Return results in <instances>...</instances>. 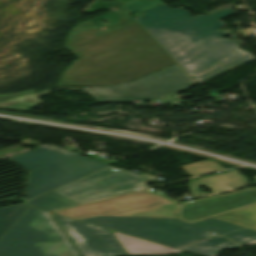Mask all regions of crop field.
Masks as SVG:
<instances>
[{
	"label": "crop field",
	"instance_id": "obj_1",
	"mask_svg": "<svg viewBox=\"0 0 256 256\" xmlns=\"http://www.w3.org/2000/svg\"><path fill=\"white\" fill-rule=\"evenodd\" d=\"M116 15V25L98 28L84 22L71 30L65 47L78 60L57 86L123 83L176 63L127 11Z\"/></svg>",
	"mask_w": 256,
	"mask_h": 256
},
{
	"label": "crop field",
	"instance_id": "obj_2",
	"mask_svg": "<svg viewBox=\"0 0 256 256\" xmlns=\"http://www.w3.org/2000/svg\"><path fill=\"white\" fill-rule=\"evenodd\" d=\"M143 12L136 21L200 83L254 60L251 54L237 49L243 42L223 39L227 32H215L224 25L218 20L236 13L230 7L195 18L183 8L170 9L166 4Z\"/></svg>",
	"mask_w": 256,
	"mask_h": 256
},
{
	"label": "crop field",
	"instance_id": "obj_3",
	"mask_svg": "<svg viewBox=\"0 0 256 256\" xmlns=\"http://www.w3.org/2000/svg\"><path fill=\"white\" fill-rule=\"evenodd\" d=\"M154 189L54 211L76 219L97 215L179 218L190 224L256 204V188L235 193L177 202Z\"/></svg>",
	"mask_w": 256,
	"mask_h": 256
},
{
	"label": "crop field",
	"instance_id": "obj_4",
	"mask_svg": "<svg viewBox=\"0 0 256 256\" xmlns=\"http://www.w3.org/2000/svg\"><path fill=\"white\" fill-rule=\"evenodd\" d=\"M10 159L30 170L24 201L108 166L57 146L46 145H39L35 151Z\"/></svg>",
	"mask_w": 256,
	"mask_h": 256
},
{
	"label": "crop field",
	"instance_id": "obj_5",
	"mask_svg": "<svg viewBox=\"0 0 256 256\" xmlns=\"http://www.w3.org/2000/svg\"><path fill=\"white\" fill-rule=\"evenodd\" d=\"M80 220L173 247L210 238L207 234L212 231L223 234L245 229L216 218L192 225L179 219L115 216H97Z\"/></svg>",
	"mask_w": 256,
	"mask_h": 256
},
{
	"label": "crop field",
	"instance_id": "obj_6",
	"mask_svg": "<svg viewBox=\"0 0 256 256\" xmlns=\"http://www.w3.org/2000/svg\"><path fill=\"white\" fill-rule=\"evenodd\" d=\"M63 234L48 213L30 207L0 239V256H79Z\"/></svg>",
	"mask_w": 256,
	"mask_h": 256
},
{
	"label": "crop field",
	"instance_id": "obj_7",
	"mask_svg": "<svg viewBox=\"0 0 256 256\" xmlns=\"http://www.w3.org/2000/svg\"><path fill=\"white\" fill-rule=\"evenodd\" d=\"M196 85L176 65L136 80L129 84L102 88H83L95 102H115L133 100L175 101L170 96Z\"/></svg>",
	"mask_w": 256,
	"mask_h": 256
},
{
	"label": "crop field",
	"instance_id": "obj_8",
	"mask_svg": "<svg viewBox=\"0 0 256 256\" xmlns=\"http://www.w3.org/2000/svg\"><path fill=\"white\" fill-rule=\"evenodd\" d=\"M150 177L107 167L57 190L59 194L79 203L96 201L143 189L141 182Z\"/></svg>",
	"mask_w": 256,
	"mask_h": 256
},
{
	"label": "crop field",
	"instance_id": "obj_9",
	"mask_svg": "<svg viewBox=\"0 0 256 256\" xmlns=\"http://www.w3.org/2000/svg\"><path fill=\"white\" fill-rule=\"evenodd\" d=\"M82 256H114L126 254L108 229L89 225L53 214Z\"/></svg>",
	"mask_w": 256,
	"mask_h": 256
},
{
	"label": "crop field",
	"instance_id": "obj_10",
	"mask_svg": "<svg viewBox=\"0 0 256 256\" xmlns=\"http://www.w3.org/2000/svg\"><path fill=\"white\" fill-rule=\"evenodd\" d=\"M249 184V180L246 176L239 175L237 170H232L226 174L192 180L189 186L191 190V196L194 198L207 195L205 192L196 190V187L199 186H207L212 190V194H217L233 191Z\"/></svg>",
	"mask_w": 256,
	"mask_h": 256
},
{
	"label": "crop field",
	"instance_id": "obj_11",
	"mask_svg": "<svg viewBox=\"0 0 256 256\" xmlns=\"http://www.w3.org/2000/svg\"><path fill=\"white\" fill-rule=\"evenodd\" d=\"M120 242L128 255H168L184 252L182 250L167 247L115 231H111Z\"/></svg>",
	"mask_w": 256,
	"mask_h": 256
},
{
	"label": "crop field",
	"instance_id": "obj_12",
	"mask_svg": "<svg viewBox=\"0 0 256 256\" xmlns=\"http://www.w3.org/2000/svg\"><path fill=\"white\" fill-rule=\"evenodd\" d=\"M235 247H240V245L219 236L178 248L203 256H218L222 250Z\"/></svg>",
	"mask_w": 256,
	"mask_h": 256
},
{
	"label": "crop field",
	"instance_id": "obj_13",
	"mask_svg": "<svg viewBox=\"0 0 256 256\" xmlns=\"http://www.w3.org/2000/svg\"><path fill=\"white\" fill-rule=\"evenodd\" d=\"M27 204L47 210V211L57 209V208L77 205V203L59 195L54 191L48 194H45L41 197H38L34 200H31L27 202Z\"/></svg>",
	"mask_w": 256,
	"mask_h": 256
},
{
	"label": "crop field",
	"instance_id": "obj_14",
	"mask_svg": "<svg viewBox=\"0 0 256 256\" xmlns=\"http://www.w3.org/2000/svg\"><path fill=\"white\" fill-rule=\"evenodd\" d=\"M216 218L256 230V205L218 216Z\"/></svg>",
	"mask_w": 256,
	"mask_h": 256
},
{
	"label": "crop field",
	"instance_id": "obj_15",
	"mask_svg": "<svg viewBox=\"0 0 256 256\" xmlns=\"http://www.w3.org/2000/svg\"><path fill=\"white\" fill-rule=\"evenodd\" d=\"M28 208L21 204L0 209V238L16 223Z\"/></svg>",
	"mask_w": 256,
	"mask_h": 256
},
{
	"label": "crop field",
	"instance_id": "obj_16",
	"mask_svg": "<svg viewBox=\"0 0 256 256\" xmlns=\"http://www.w3.org/2000/svg\"><path fill=\"white\" fill-rule=\"evenodd\" d=\"M51 89L46 90L44 92L38 93V94H31V95H25L13 100H9L6 102L0 103V109H12V110H23V111H29L33 112L31 110L25 109L28 106L40 104L41 102L36 96L43 95L50 93Z\"/></svg>",
	"mask_w": 256,
	"mask_h": 256
},
{
	"label": "crop field",
	"instance_id": "obj_17",
	"mask_svg": "<svg viewBox=\"0 0 256 256\" xmlns=\"http://www.w3.org/2000/svg\"><path fill=\"white\" fill-rule=\"evenodd\" d=\"M181 167L188 174H191V175H203V174L224 169L214 161H202V162H197L193 164L183 165Z\"/></svg>",
	"mask_w": 256,
	"mask_h": 256
},
{
	"label": "crop field",
	"instance_id": "obj_18",
	"mask_svg": "<svg viewBox=\"0 0 256 256\" xmlns=\"http://www.w3.org/2000/svg\"><path fill=\"white\" fill-rule=\"evenodd\" d=\"M224 236L243 246L256 244V232L250 229L229 233Z\"/></svg>",
	"mask_w": 256,
	"mask_h": 256
},
{
	"label": "crop field",
	"instance_id": "obj_19",
	"mask_svg": "<svg viewBox=\"0 0 256 256\" xmlns=\"http://www.w3.org/2000/svg\"><path fill=\"white\" fill-rule=\"evenodd\" d=\"M161 3L162 2L158 0H133L131 2L124 4V7L128 12H139Z\"/></svg>",
	"mask_w": 256,
	"mask_h": 256
},
{
	"label": "crop field",
	"instance_id": "obj_20",
	"mask_svg": "<svg viewBox=\"0 0 256 256\" xmlns=\"http://www.w3.org/2000/svg\"><path fill=\"white\" fill-rule=\"evenodd\" d=\"M33 92H34V90L28 91V92H22V93H18V94H14V95H0V101L9 100V99L14 98L16 96L27 94V93H33Z\"/></svg>",
	"mask_w": 256,
	"mask_h": 256
},
{
	"label": "crop field",
	"instance_id": "obj_21",
	"mask_svg": "<svg viewBox=\"0 0 256 256\" xmlns=\"http://www.w3.org/2000/svg\"><path fill=\"white\" fill-rule=\"evenodd\" d=\"M119 3L123 4V2H121L120 0H117Z\"/></svg>",
	"mask_w": 256,
	"mask_h": 256
}]
</instances>
